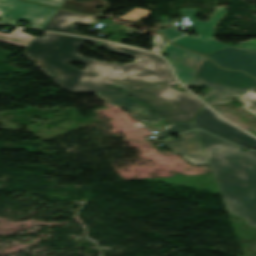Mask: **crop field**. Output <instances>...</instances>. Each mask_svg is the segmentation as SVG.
<instances>
[{"label": "crop field", "instance_id": "crop-field-19", "mask_svg": "<svg viewBox=\"0 0 256 256\" xmlns=\"http://www.w3.org/2000/svg\"><path fill=\"white\" fill-rule=\"evenodd\" d=\"M236 47H242V48H248V49H254L256 50V39L250 40L248 42H241Z\"/></svg>", "mask_w": 256, "mask_h": 256}, {"label": "crop field", "instance_id": "crop-field-6", "mask_svg": "<svg viewBox=\"0 0 256 256\" xmlns=\"http://www.w3.org/2000/svg\"><path fill=\"white\" fill-rule=\"evenodd\" d=\"M195 127L221 136L245 148H256V139L219 118L205 105L194 119Z\"/></svg>", "mask_w": 256, "mask_h": 256}, {"label": "crop field", "instance_id": "crop-field-8", "mask_svg": "<svg viewBox=\"0 0 256 256\" xmlns=\"http://www.w3.org/2000/svg\"><path fill=\"white\" fill-rule=\"evenodd\" d=\"M163 52L168 53L167 59L172 63L177 77L186 87H189L205 57L183 50L170 43L167 44Z\"/></svg>", "mask_w": 256, "mask_h": 256}, {"label": "crop field", "instance_id": "crop-field-11", "mask_svg": "<svg viewBox=\"0 0 256 256\" xmlns=\"http://www.w3.org/2000/svg\"><path fill=\"white\" fill-rule=\"evenodd\" d=\"M96 18L99 17L82 16L58 10L43 29L79 34L75 31V23L90 25L91 22L98 23Z\"/></svg>", "mask_w": 256, "mask_h": 256}, {"label": "crop field", "instance_id": "crop-field-1", "mask_svg": "<svg viewBox=\"0 0 256 256\" xmlns=\"http://www.w3.org/2000/svg\"><path fill=\"white\" fill-rule=\"evenodd\" d=\"M84 41L97 45L99 40L45 33L44 38L35 37L25 53L71 93L121 90L171 123L192 121L203 107L188 91L169 87L177 82L162 58L101 41L99 47L136 59L124 66L99 62L78 54ZM71 62L87 64L84 72L68 64Z\"/></svg>", "mask_w": 256, "mask_h": 256}, {"label": "crop field", "instance_id": "crop-field-7", "mask_svg": "<svg viewBox=\"0 0 256 256\" xmlns=\"http://www.w3.org/2000/svg\"><path fill=\"white\" fill-rule=\"evenodd\" d=\"M218 65L232 70L246 71L256 77V51L226 47L208 55Z\"/></svg>", "mask_w": 256, "mask_h": 256}, {"label": "crop field", "instance_id": "crop-field-13", "mask_svg": "<svg viewBox=\"0 0 256 256\" xmlns=\"http://www.w3.org/2000/svg\"><path fill=\"white\" fill-rule=\"evenodd\" d=\"M22 29H15L10 34L0 32V41L12 45L27 47L33 40V36L22 33Z\"/></svg>", "mask_w": 256, "mask_h": 256}, {"label": "crop field", "instance_id": "crop-field-21", "mask_svg": "<svg viewBox=\"0 0 256 256\" xmlns=\"http://www.w3.org/2000/svg\"><path fill=\"white\" fill-rule=\"evenodd\" d=\"M244 95L249 96V97H251V98H255V97H256V94L253 93V92H251V91H249L248 93H246V94H244Z\"/></svg>", "mask_w": 256, "mask_h": 256}, {"label": "crop field", "instance_id": "crop-field-14", "mask_svg": "<svg viewBox=\"0 0 256 256\" xmlns=\"http://www.w3.org/2000/svg\"><path fill=\"white\" fill-rule=\"evenodd\" d=\"M190 129H194L193 122L171 124L170 126L164 128L160 133H157V135L160 138L169 134L180 133L182 131L190 130Z\"/></svg>", "mask_w": 256, "mask_h": 256}, {"label": "crop field", "instance_id": "crop-field-5", "mask_svg": "<svg viewBox=\"0 0 256 256\" xmlns=\"http://www.w3.org/2000/svg\"><path fill=\"white\" fill-rule=\"evenodd\" d=\"M0 9L4 10L1 22L14 25L16 20H27L32 23V29L38 30H41L57 11L22 0H0Z\"/></svg>", "mask_w": 256, "mask_h": 256}, {"label": "crop field", "instance_id": "crop-field-4", "mask_svg": "<svg viewBox=\"0 0 256 256\" xmlns=\"http://www.w3.org/2000/svg\"><path fill=\"white\" fill-rule=\"evenodd\" d=\"M181 11L183 15H189L191 17L194 29L198 33L199 37L183 36L172 41V43L198 51L205 55L228 46L226 44L219 43L214 40L213 37L214 27L218 20L223 17L226 7H218L209 22L196 21V19L193 18V15L197 12L196 9H181Z\"/></svg>", "mask_w": 256, "mask_h": 256}, {"label": "crop field", "instance_id": "crop-field-9", "mask_svg": "<svg viewBox=\"0 0 256 256\" xmlns=\"http://www.w3.org/2000/svg\"><path fill=\"white\" fill-rule=\"evenodd\" d=\"M182 139L173 140L163 143L174 154H179L194 165L209 164L205 153L202 152V144L200 143L196 132H188L180 134Z\"/></svg>", "mask_w": 256, "mask_h": 256}, {"label": "crop field", "instance_id": "crop-field-18", "mask_svg": "<svg viewBox=\"0 0 256 256\" xmlns=\"http://www.w3.org/2000/svg\"><path fill=\"white\" fill-rule=\"evenodd\" d=\"M161 32L165 33L166 37L169 40H173V39L183 35L182 33L175 31L174 28L162 30Z\"/></svg>", "mask_w": 256, "mask_h": 256}, {"label": "crop field", "instance_id": "crop-field-20", "mask_svg": "<svg viewBox=\"0 0 256 256\" xmlns=\"http://www.w3.org/2000/svg\"><path fill=\"white\" fill-rule=\"evenodd\" d=\"M31 1H36V2H40V3H44V4L57 6V7H60L62 5V3L64 2V0H31Z\"/></svg>", "mask_w": 256, "mask_h": 256}, {"label": "crop field", "instance_id": "crop-field-15", "mask_svg": "<svg viewBox=\"0 0 256 256\" xmlns=\"http://www.w3.org/2000/svg\"><path fill=\"white\" fill-rule=\"evenodd\" d=\"M149 14H150V12L147 10L136 8L133 11H131L130 13L121 17V19L131 21V22H138L139 19L146 18Z\"/></svg>", "mask_w": 256, "mask_h": 256}, {"label": "crop field", "instance_id": "crop-field-3", "mask_svg": "<svg viewBox=\"0 0 256 256\" xmlns=\"http://www.w3.org/2000/svg\"><path fill=\"white\" fill-rule=\"evenodd\" d=\"M191 84L212 88L203 98L210 106L228 103L256 85V79L241 72H229L216 67L205 58Z\"/></svg>", "mask_w": 256, "mask_h": 256}, {"label": "crop field", "instance_id": "crop-field-16", "mask_svg": "<svg viewBox=\"0 0 256 256\" xmlns=\"http://www.w3.org/2000/svg\"><path fill=\"white\" fill-rule=\"evenodd\" d=\"M251 91L256 93V87L252 88ZM237 100L246 103L244 109L250 111L252 114L256 116V100L246 97L244 95L237 98Z\"/></svg>", "mask_w": 256, "mask_h": 256}, {"label": "crop field", "instance_id": "crop-field-10", "mask_svg": "<svg viewBox=\"0 0 256 256\" xmlns=\"http://www.w3.org/2000/svg\"><path fill=\"white\" fill-rule=\"evenodd\" d=\"M104 100L108 102H112L119 107L125 109L129 113H131L136 119L145 121V122H155L159 120H163L161 117L132 99L131 97L127 96L121 91H114V92H102L96 93Z\"/></svg>", "mask_w": 256, "mask_h": 256}, {"label": "crop field", "instance_id": "crop-field-2", "mask_svg": "<svg viewBox=\"0 0 256 256\" xmlns=\"http://www.w3.org/2000/svg\"><path fill=\"white\" fill-rule=\"evenodd\" d=\"M198 133L228 212L256 227V151L242 152L220 138Z\"/></svg>", "mask_w": 256, "mask_h": 256}, {"label": "crop field", "instance_id": "crop-field-12", "mask_svg": "<svg viewBox=\"0 0 256 256\" xmlns=\"http://www.w3.org/2000/svg\"><path fill=\"white\" fill-rule=\"evenodd\" d=\"M98 3L104 7L103 10L94 9ZM61 8L86 14H103L108 9V4L104 0H89L85 2L66 0L61 6Z\"/></svg>", "mask_w": 256, "mask_h": 256}, {"label": "crop field", "instance_id": "crop-field-17", "mask_svg": "<svg viewBox=\"0 0 256 256\" xmlns=\"http://www.w3.org/2000/svg\"><path fill=\"white\" fill-rule=\"evenodd\" d=\"M167 41L162 37L161 34H157L153 37L152 43L154 47L152 51L159 52Z\"/></svg>", "mask_w": 256, "mask_h": 256}, {"label": "crop field", "instance_id": "crop-field-22", "mask_svg": "<svg viewBox=\"0 0 256 256\" xmlns=\"http://www.w3.org/2000/svg\"><path fill=\"white\" fill-rule=\"evenodd\" d=\"M2 13H3V11H2V10H0V18H1V16H2Z\"/></svg>", "mask_w": 256, "mask_h": 256}]
</instances>
